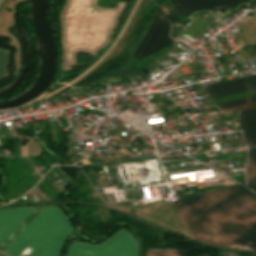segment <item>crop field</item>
Instances as JSON below:
<instances>
[{
    "label": "crop field",
    "mask_w": 256,
    "mask_h": 256,
    "mask_svg": "<svg viewBox=\"0 0 256 256\" xmlns=\"http://www.w3.org/2000/svg\"><path fill=\"white\" fill-rule=\"evenodd\" d=\"M10 50L0 48V79L7 77V65Z\"/></svg>",
    "instance_id": "obj_1"
}]
</instances>
